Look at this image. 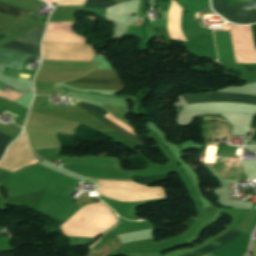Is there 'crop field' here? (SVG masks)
Listing matches in <instances>:
<instances>
[{
    "instance_id": "obj_8",
    "label": "crop field",
    "mask_w": 256,
    "mask_h": 256,
    "mask_svg": "<svg viewBox=\"0 0 256 256\" xmlns=\"http://www.w3.org/2000/svg\"><path fill=\"white\" fill-rule=\"evenodd\" d=\"M1 48H7V49H12V50H18V51H23V52H28V53H33V54H38L40 55L39 47L31 44H26V43H21V42H16L12 41L10 43H7Z\"/></svg>"
},
{
    "instance_id": "obj_7",
    "label": "crop field",
    "mask_w": 256,
    "mask_h": 256,
    "mask_svg": "<svg viewBox=\"0 0 256 256\" xmlns=\"http://www.w3.org/2000/svg\"><path fill=\"white\" fill-rule=\"evenodd\" d=\"M0 12L11 15V16H24L32 14L33 12L23 10L8 4H4L0 2ZM29 20L27 16L19 18L17 21L14 22L12 26H10L7 30L9 33H13L16 29H18L25 21Z\"/></svg>"
},
{
    "instance_id": "obj_13",
    "label": "crop field",
    "mask_w": 256,
    "mask_h": 256,
    "mask_svg": "<svg viewBox=\"0 0 256 256\" xmlns=\"http://www.w3.org/2000/svg\"><path fill=\"white\" fill-rule=\"evenodd\" d=\"M253 27V33H254V39H255V45H256V24L252 25Z\"/></svg>"
},
{
    "instance_id": "obj_1",
    "label": "crop field",
    "mask_w": 256,
    "mask_h": 256,
    "mask_svg": "<svg viewBox=\"0 0 256 256\" xmlns=\"http://www.w3.org/2000/svg\"><path fill=\"white\" fill-rule=\"evenodd\" d=\"M213 9L229 21L240 24L256 23V0L228 6L227 0H211Z\"/></svg>"
},
{
    "instance_id": "obj_14",
    "label": "crop field",
    "mask_w": 256,
    "mask_h": 256,
    "mask_svg": "<svg viewBox=\"0 0 256 256\" xmlns=\"http://www.w3.org/2000/svg\"><path fill=\"white\" fill-rule=\"evenodd\" d=\"M45 1H47L48 3H50L52 5H55L58 0H45Z\"/></svg>"
},
{
    "instance_id": "obj_9",
    "label": "crop field",
    "mask_w": 256,
    "mask_h": 256,
    "mask_svg": "<svg viewBox=\"0 0 256 256\" xmlns=\"http://www.w3.org/2000/svg\"><path fill=\"white\" fill-rule=\"evenodd\" d=\"M43 29H44V27L35 26L24 36L16 39V41L27 42V43H31V44H35V45L39 46Z\"/></svg>"
},
{
    "instance_id": "obj_6",
    "label": "crop field",
    "mask_w": 256,
    "mask_h": 256,
    "mask_svg": "<svg viewBox=\"0 0 256 256\" xmlns=\"http://www.w3.org/2000/svg\"><path fill=\"white\" fill-rule=\"evenodd\" d=\"M78 103V101H76ZM87 104V103H86ZM85 103L81 102L79 103V105L86 110L88 113H90L91 115L95 116L96 118H98L99 120H101L102 122H104L105 124H107L108 126H110L111 128H113L114 130L118 131L119 133H121L122 135L138 142L141 144V142L139 141L138 138H136L135 136L131 135L130 133H128L127 131L123 130L122 128H120L119 126L115 125L114 123H112L111 121L107 120L106 118H104L103 116L106 115L108 112H106L104 109L95 106V105H90L88 104L90 107H92L93 109H95L96 111H98L100 114H102L103 116H101L99 113H97L96 111H94L92 108H90L89 106H87Z\"/></svg>"
},
{
    "instance_id": "obj_12",
    "label": "crop field",
    "mask_w": 256,
    "mask_h": 256,
    "mask_svg": "<svg viewBox=\"0 0 256 256\" xmlns=\"http://www.w3.org/2000/svg\"><path fill=\"white\" fill-rule=\"evenodd\" d=\"M10 139H11V137L3 135V134L0 133V143H3V144L6 145L9 142ZM4 147H5L4 145L0 144V153L2 152ZM4 151H5V149H4ZM2 153H1V155H2Z\"/></svg>"
},
{
    "instance_id": "obj_10",
    "label": "crop field",
    "mask_w": 256,
    "mask_h": 256,
    "mask_svg": "<svg viewBox=\"0 0 256 256\" xmlns=\"http://www.w3.org/2000/svg\"><path fill=\"white\" fill-rule=\"evenodd\" d=\"M4 109L10 111L11 113H13L23 119H25L26 113L28 111L27 109H25L23 107H20L14 103H11L5 99L0 98V113H2V111Z\"/></svg>"
},
{
    "instance_id": "obj_17",
    "label": "crop field",
    "mask_w": 256,
    "mask_h": 256,
    "mask_svg": "<svg viewBox=\"0 0 256 256\" xmlns=\"http://www.w3.org/2000/svg\"><path fill=\"white\" fill-rule=\"evenodd\" d=\"M104 204V203H103ZM105 205V204H104ZM106 206V205H105ZM107 207V206H106ZM108 208V207H107ZM109 209V208H108Z\"/></svg>"
},
{
    "instance_id": "obj_18",
    "label": "crop field",
    "mask_w": 256,
    "mask_h": 256,
    "mask_svg": "<svg viewBox=\"0 0 256 256\" xmlns=\"http://www.w3.org/2000/svg\"><path fill=\"white\" fill-rule=\"evenodd\" d=\"M126 1V0H125Z\"/></svg>"
},
{
    "instance_id": "obj_15",
    "label": "crop field",
    "mask_w": 256,
    "mask_h": 256,
    "mask_svg": "<svg viewBox=\"0 0 256 256\" xmlns=\"http://www.w3.org/2000/svg\"><path fill=\"white\" fill-rule=\"evenodd\" d=\"M251 140H256V128H255V131L253 132V135L251 137Z\"/></svg>"
},
{
    "instance_id": "obj_16",
    "label": "crop field",
    "mask_w": 256,
    "mask_h": 256,
    "mask_svg": "<svg viewBox=\"0 0 256 256\" xmlns=\"http://www.w3.org/2000/svg\"><path fill=\"white\" fill-rule=\"evenodd\" d=\"M5 236H9L6 232L5 233H0V237H5Z\"/></svg>"
},
{
    "instance_id": "obj_2",
    "label": "crop field",
    "mask_w": 256,
    "mask_h": 256,
    "mask_svg": "<svg viewBox=\"0 0 256 256\" xmlns=\"http://www.w3.org/2000/svg\"><path fill=\"white\" fill-rule=\"evenodd\" d=\"M83 78L120 79L115 70H93ZM71 82L95 83V84H122L121 80L76 79ZM81 83H66L71 86L90 89H122L123 85H95Z\"/></svg>"
},
{
    "instance_id": "obj_11",
    "label": "crop field",
    "mask_w": 256,
    "mask_h": 256,
    "mask_svg": "<svg viewBox=\"0 0 256 256\" xmlns=\"http://www.w3.org/2000/svg\"><path fill=\"white\" fill-rule=\"evenodd\" d=\"M116 4L114 0H87L85 6L107 8Z\"/></svg>"
},
{
    "instance_id": "obj_5",
    "label": "crop field",
    "mask_w": 256,
    "mask_h": 256,
    "mask_svg": "<svg viewBox=\"0 0 256 256\" xmlns=\"http://www.w3.org/2000/svg\"><path fill=\"white\" fill-rule=\"evenodd\" d=\"M237 236H239V235L226 232L222 236H220L218 239H216L215 241H213V242H211V243H209V244H207L203 247H200V248L192 250L188 253H185L181 256H201V255H204L208 252H211L213 250H216V249L224 246L226 243L233 240Z\"/></svg>"
},
{
    "instance_id": "obj_3",
    "label": "crop field",
    "mask_w": 256,
    "mask_h": 256,
    "mask_svg": "<svg viewBox=\"0 0 256 256\" xmlns=\"http://www.w3.org/2000/svg\"><path fill=\"white\" fill-rule=\"evenodd\" d=\"M183 98L187 104L196 102H242L256 105V96L242 95V94H227V93H214L205 95H184Z\"/></svg>"
},
{
    "instance_id": "obj_4",
    "label": "crop field",
    "mask_w": 256,
    "mask_h": 256,
    "mask_svg": "<svg viewBox=\"0 0 256 256\" xmlns=\"http://www.w3.org/2000/svg\"><path fill=\"white\" fill-rule=\"evenodd\" d=\"M25 55H32L0 48V65H4L16 70H21ZM38 56V55H33Z\"/></svg>"
}]
</instances>
